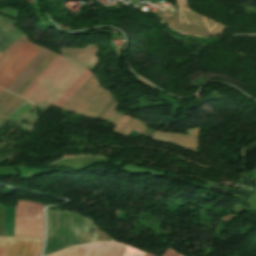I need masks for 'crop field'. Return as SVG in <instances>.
<instances>
[{"label":"crop field","mask_w":256,"mask_h":256,"mask_svg":"<svg viewBox=\"0 0 256 256\" xmlns=\"http://www.w3.org/2000/svg\"><path fill=\"white\" fill-rule=\"evenodd\" d=\"M96 52V46L92 45L84 49L61 48L60 53L65 55L26 98L51 105L87 67L93 70L99 59L94 56Z\"/></svg>","instance_id":"crop-field-1"},{"label":"crop field","mask_w":256,"mask_h":256,"mask_svg":"<svg viewBox=\"0 0 256 256\" xmlns=\"http://www.w3.org/2000/svg\"><path fill=\"white\" fill-rule=\"evenodd\" d=\"M45 254L92 241L93 222L82 215L68 211L50 210Z\"/></svg>","instance_id":"crop-field-2"},{"label":"crop field","mask_w":256,"mask_h":256,"mask_svg":"<svg viewBox=\"0 0 256 256\" xmlns=\"http://www.w3.org/2000/svg\"><path fill=\"white\" fill-rule=\"evenodd\" d=\"M102 88L93 74L62 108L95 118L100 110L113 99L111 94Z\"/></svg>","instance_id":"crop-field-3"},{"label":"crop field","mask_w":256,"mask_h":256,"mask_svg":"<svg viewBox=\"0 0 256 256\" xmlns=\"http://www.w3.org/2000/svg\"><path fill=\"white\" fill-rule=\"evenodd\" d=\"M44 205L18 201L15 215L14 236L43 238Z\"/></svg>","instance_id":"crop-field-4"},{"label":"crop field","mask_w":256,"mask_h":256,"mask_svg":"<svg viewBox=\"0 0 256 256\" xmlns=\"http://www.w3.org/2000/svg\"><path fill=\"white\" fill-rule=\"evenodd\" d=\"M182 11L167 22L172 28L184 33L209 36L220 35L222 30L226 27L219 25L203 16L190 11L189 5H185L181 8Z\"/></svg>","instance_id":"crop-field-5"},{"label":"crop field","mask_w":256,"mask_h":256,"mask_svg":"<svg viewBox=\"0 0 256 256\" xmlns=\"http://www.w3.org/2000/svg\"><path fill=\"white\" fill-rule=\"evenodd\" d=\"M145 252L121 243L98 242L64 249L49 256H144Z\"/></svg>","instance_id":"crop-field-6"},{"label":"crop field","mask_w":256,"mask_h":256,"mask_svg":"<svg viewBox=\"0 0 256 256\" xmlns=\"http://www.w3.org/2000/svg\"><path fill=\"white\" fill-rule=\"evenodd\" d=\"M43 239L7 237L0 256H39Z\"/></svg>","instance_id":"crop-field-7"},{"label":"crop field","mask_w":256,"mask_h":256,"mask_svg":"<svg viewBox=\"0 0 256 256\" xmlns=\"http://www.w3.org/2000/svg\"><path fill=\"white\" fill-rule=\"evenodd\" d=\"M37 47L30 41L25 42L13 51L0 69V87L8 79L11 73L19 66L25 57Z\"/></svg>","instance_id":"crop-field-8"},{"label":"crop field","mask_w":256,"mask_h":256,"mask_svg":"<svg viewBox=\"0 0 256 256\" xmlns=\"http://www.w3.org/2000/svg\"><path fill=\"white\" fill-rule=\"evenodd\" d=\"M16 24V22L0 16V53L4 52L9 45L24 35L15 27Z\"/></svg>","instance_id":"crop-field-9"},{"label":"crop field","mask_w":256,"mask_h":256,"mask_svg":"<svg viewBox=\"0 0 256 256\" xmlns=\"http://www.w3.org/2000/svg\"><path fill=\"white\" fill-rule=\"evenodd\" d=\"M25 101L26 100L21 97H17L7 91L2 90L0 92V116L7 118Z\"/></svg>","instance_id":"crop-field-10"},{"label":"crop field","mask_w":256,"mask_h":256,"mask_svg":"<svg viewBox=\"0 0 256 256\" xmlns=\"http://www.w3.org/2000/svg\"><path fill=\"white\" fill-rule=\"evenodd\" d=\"M200 131V128H195L192 130H187L189 135L171 133L170 142H175L183 148L196 151L198 144V135Z\"/></svg>","instance_id":"crop-field-11"},{"label":"crop field","mask_w":256,"mask_h":256,"mask_svg":"<svg viewBox=\"0 0 256 256\" xmlns=\"http://www.w3.org/2000/svg\"><path fill=\"white\" fill-rule=\"evenodd\" d=\"M92 74L89 70H86L53 105L61 107Z\"/></svg>","instance_id":"crop-field-12"},{"label":"crop field","mask_w":256,"mask_h":256,"mask_svg":"<svg viewBox=\"0 0 256 256\" xmlns=\"http://www.w3.org/2000/svg\"><path fill=\"white\" fill-rule=\"evenodd\" d=\"M57 55L58 54L52 52L48 58L37 68V70L26 80V82L15 92V94L21 96Z\"/></svg>","instance_id":"crop-field-13"},{"label":"crop field","mask_w":256,"mask_h":256,"mask_svg":"<svg viewBox=\"0 0 256 256\" xmlns=\"http://www.w3.org/2000/svg\"><path fill=\"white\" fill-rule=\"evenodd\" d=\"M42 47L38 46L34 51H32L26 59L20 64V66L14 71V73L9 77V79L4 83L2 88L6 89L12 81L19 75V73L28 65V63L33 59V57L41 51Z\"/></svg>","instance_id":"crop-field-14"},{"label":"crop field","mask_w":256,"mask_h":256,"mask_svg":"<svg viewBox=\"0 0 256 256\" xmlns=\"http://www.w3.org/2000/svg\"><path fill=\"white\" fill-rule=\"evenodd\" d=\"M146 126L141 122L139 121L138 119H134V118H131L124 126L123 128L120 130V134H123V135H126L128 136V134L131 132V130H135L137 132H140L142 133L143 129L145 128Z\"/></svg>","instance_id":"crop-field-15"},{"label":"crop field","mask_w":256,"mask_h":256,"mask_svg":"<svg viewBox=\"0 0 256 256\" xmlns=\"http://www.w3.org/2000/svg\"><path fill=\"white\" fill-rule=\"evenodd\" d=\"M117 103H115L110 110L107 112V114L104 116V120H108L110 122H113L117 124V122L124 116L122 113L115 111L117 107Z\"/></svg>","instance_id":"crop-field-16"},{"label":"crop field","mask_w":256,"mask_h":256,"mask_svg":"<svg viewBox=\"0 0 256 256\" xmlns=\"http://www.w3.org/2000/svg\"><path fill=\"white\" fill-rule=\"evenodd\" d=\"M27 37L26 35L19 39L18 41H16L15 43H13L8 49H6V51L1 55L0 54V67L3 65V63L5 62V60L7 59V57L9 56V54L16 49L19 45H21L22 43H24L25 41H27Z\"/></svg>","instance_id":"crop-field-17"},{"label":"crop field","mask_w":256,"mask_h":256,"mask_svg":"<svg viewBox=\"0 0 256 256\" xmlns=\"http://www.w3.org/2000/svg\"><path fill=\"white\" fill-rule=\"evenodd\" d=\"M62 57V55H58L51 64L46 68V70L41 74V76L27 89V91L22 95V97H26L27 94L42 80V78L50 71V69L58 62V60Z\"/></svg>","instance_id":"crop-field-18"},{"label":"crop field","mask_w":256,"mask_h":256,"mask_svg":"<svg viewBox=\"0 0 256 256\" xmlns=\"http://www.w3.org/2000/svg\"><path fill=\"white\" fill-rule=\"evenodd\" d=\"M169 134L170 133H166V132H162V131H157L153 140H157V141H162V142H167L168 138H169Z\"/></svg>","instance_id":"crop-field-19"},{"label":"crop field","mask_w":256,"mask_h":256,"mask_svg":"<svg viewBox=\"0 0 256 256\" xmlns=\"http://www.w3.org/2000/svg\"><path fill=\"white\" fill-rule=\"evenodd\" d=\"M116 101L113 99L106 107H104L101 112L98 114L96 118L102 119L103 116L106 114L108 109L115 103Z\"/></svg>","instance_id":"crop-field-20"},{"label":"crop field","mask_w":256,"mask_h":256,"mask_svg":"<svg viewBox=\"0 0 256 256\" xmlns=\"http://www.w3.org/2000/svg\"><path fill=\"white\" fill-rule=\"evenodd\" d=\"M180 253L168 246L162 256H178Z\"/></svg>","instance_id":"crop-field-21"},{"label":"crop field","mask_w":256,"mask_h":256,"mask_svg":"<svg viewBox=\"0 0 256 256\" xmlns=\"http://www.w3.org/2000/svg\"><path fill=\"white\" fill-rule=\"evenodd\" d=\"M128 119H130V117L124 116V117L119 121V123L115 126V128H114L113 131L118 132L119 129L125 124V122H126Z\"/></svg>","instance_id":"crop-field-22"},{"label":"crop field","mask_w":256,"mask_h":256,"mask_svg":"<svg viewBox=\"0 0 256 256\" xmlns=\"http://www.w3.org/2000/svg\"><path fill=\"white\" fill-rule=\"evenodd\" d=\"M40 110L45 111L49 106L36 105Z\"/></svg>","instance_id":"crop-field-23"},{"label":"crop field","mask_w":256,"mask_h":256,"mask_svg":"<svg viewBox=\"0 0 256 256\" xmlns=\"http://www.w3.org/2000/svg\"><path fill=\"white\" fill-rule=\"evenodd\" d=\"M6 237H0V250Z\"/></svg>","instance_id":"crop-field-24"},{"label":"crop field","mask_w":256,"mask_h":256,"mask_svg":"<svg viewBox=\"0 0 256 256\" xmlns=\"http://www.w3.org/2000/svg\"><path fill=\"white\" fill-rule=\"evenodd\" d=\"M145 256H152V255H150V254L146 253V255H145Z\"/></svg>","instance_id":"crop-field-25"},{"label":"crop field","mask_w":256,"mask_h":256,"mask_svg":"<svg viewBox=\"0 0 256 256\" xmlns=\"http://www.w3.org/2000/svg\"><path fill=\"white\" fill-rule=\"evenodd\" d=\"M3 120V118H0V122Z\"/></svg>","instance_id":"crop-field-26"},{"label":"crop field","mask_w":256,"mask_h":256,"mask_svg":"<svg viewBox=\"0 0 256 256\" xmlns=\"http://www.w3.org/2000/svg\"><path fill=\"white\" fill-rule=\"evenodd\" d=\"M0 91H1V89H0Z\"/></svg>","instance_id":"crop-field-27"},{"label":"crop field","mask_w":256,"mask_h":256,"mask_svg":"<svg viewBox=\"0 0 256 256\" xmlns=\"http://www.w3.org/2000/svg\"><path fill=\"white\" fill-rule=\"evenodd\" d=\"M181 256V255H180Z\"/></svg>","instance_id":"crop-field-28"}]
</instances>
